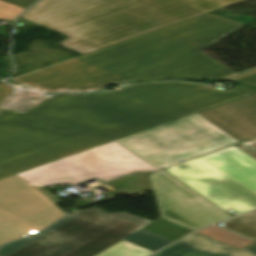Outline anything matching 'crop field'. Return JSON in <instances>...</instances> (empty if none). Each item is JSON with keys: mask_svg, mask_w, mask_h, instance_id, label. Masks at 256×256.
Instances as JSON below:
<instances>
[{"mask_svg": "<svg viewBox=\"0 0 256 256\" xmlns=\"http://www.w3.org/2000/svg\"><path fill=\"white\" fill-rule=\"evenodd\" d=\"M205 84H132L114 92L58 94L21 113L0 110V179L255 92Z\"/></svg>", "mask_w": 256, "mask_h": 256, "instance_id": "obj_1", "label": "crop field"}, {"mask_svg": "<svg viewBox=\"0 0 256 256\" xmlns=\"http://www.w3.org/2000/svg\"><path fill=\"white\" fill-rule=\"evenodd\" d=\"M242 0H40L21 17L87 54Z\"/></svg>", "mask_w": 256, "mask_h": 256, "instance_id": "obj_2", "label": "crop field"}, {"mask_svg": "<svg viewBox=\"0 0 256 256\" xmlns=\"http://www.w3.org/2000/svg\"><path fill=\"white\" fill-rule=\"evenodd\" d=\"M245 25L206 13L77 58L120 75L117 82L223 79L236 73L186 42L206 34L222 39Z\"/></svg>", "mask_w": 256, "mask_h": 256, "instance_id": "obj_3", "label": "crop field"}, {"mask_svg": "<svg viewBox=\"0 0 256 256\" xmlns=\"http://www.w3.org/2000/svg\"><path fill=\"white\" fill-rule=\"evenodd\" d=\"M256 136V93L116 140L159 169Z\"/></svg>", "mask_w": 256, "mask_h": 256, "instance_id": "obj_4", "label": "crop field"}, {"mask_svg": "<svg viewBox=\"0 0 256 256\" xmlns=\"http://www.w3.org/2000/svg\"><path fill=\"white\" fill-rule=\"evenodd\" d=\"M152 221L97 207L68 215L50 228L0 248L1 256H93L124 239L153 252L173 242L142 226Z\"/></svg>", "mask_w": 256, "mask_h": 256, "instance_id": "obj_5", "label": "crop field"}, {"mask_svg": "<svg viewBox=\"0 0 256 256\" xmlns=\"http://www.w3.org/2000/svg\"><path fill=\"white\" fill-rule=\"evenodd\" d=\"M164 170L235 216L256 209V159L234 145Z\"/></svg>", "mask_w": 256, "mask_h": 256, "instance_id": "obj_6", "label": "crop field"}, {"mask_svg": "<svg viewBox=\"0 0 256 256\" xmlns=\"http://www.w3.org/2000/svg\"><path fill=\"white\" fill-rule=\"evenodd\" d=\"M131 170H156L115 141L18 173L31 185L74 184L97 177L108 180Z\"/></svg>", "mask_w": 256, "mask_h": 256, "instance_id": "obj_7", "label": "crop field"}, {"mask_svg": "<svg viewBox=\"0 0 256 256\" xmlns=\"http://www.w3.org/2000/svg\"><path fill=\"white\" fill-rule=\"evenodd\" d=\"M62 202L40 183L31 186L17 174L0 180V245L35 233L65 213Z\"/></svg>", "mask_w": 256, "mask_h": 256, "instance_id": "obj_8", "label": "crop field"}, {"mask_svg": "<svg viewBox=\"0 0 256 256\" xmlns=\"http://www.w3.org/2000/svg\"><path fill=\"white\" fill-rule=\"evenodd\" d=\"M149 176L164 219L195 230L232 217L163 170Z\"/></svg>", "mask_w": 256, "mask_h": 256, "instance_id": "obj_9", "label": "crop field"}, {"mask_svg": "<svg viewBox=\"0 0 256 256\" xmlns=\"http://www.w3.org/2000/svg\"><path fill=\"white\" fill-rule=\"evenodd\" d=\"M117 77L112 72L74 58L11 80L46 92L92 91L116 82Z\"/></svg>", "mask_w": 256, "mask_h": 256, "instance_id": "obj_10", "label": "crop field"}, {"mask_svg": "<svg viewBox=\"0 0 256 256\" xmlns=\"http://www.w3.org/2000/svg\"><path fill=\"white\" fill-rule=\"evenodd\" d=\"M153 256H256V243L236 249L195 232Z\"/></svg>", "mask_w": 256, "mask_h": 256, "instance_id": "obj_11", "label": "crop field"}, {"mask_svg": "<svg viewBox=\"0 0 256 256\" xmlns=\"http://www.w3.org/2000/svg\"><path fill=\"white\" fill-rule=\"evenodd\" d=\"M151 232L160 234L170 240H177L184 235L188 234L192 230L182 227L180 225L174 224L162 218L154 221L153 223L143 227Z\"/></svg>", "mask_w": 256, "mask_h": 256, "instance_id": "obj_12", "label": "crop field"}, {"mask_svg": "<svg viewBox=\"0 0 256 256\" xmlns=\"http://www.w3.org/2000/svg\"><path fill=\"white\" fill-rule=\"evenodd\" d=\"M223 223L225 228L256 240V212Z\"/></svg>", "mask_w": 256, "mask_h": 256, "instance_id": "obj_13", "label": "crop field"}, {"mask_svg": "<svg viewBox=\"0 0 256 256\" xmlns=\"http://www.w3.org/2000/svg\"><path fill=\"white\" fill-rule=\"evenodd\" d=\"M45 98L42 95L21 90L6 100L3 107L24 112Z\"/></svg>", "mask_w": 256, "mask_h": 256, "instance_id": "obj_14", "label": "crop field"}, {"mask_svg": "<svg viewBox=\"0 0 256 256\" xmlns=\"http://www.w3.org/2000/svg\"><path fill=\"white\" fill-rule=\"evenodd\" d=\"M152 253L140 246L122 240L95 256H148Z\"/></svg>", "mask_w": 256, "mask_h": 256, "instance_id": "obj_15", "label": "crop field"}, {"mask_svg": "<svg viewBox=\"0 0 256 256\" xmlns=\"http://www.w3.org/2000/svg\"><path fill=\"white\" fill-rule=\"evenodd\" d=\"M198 232H200L202 234H205L207 236H210L212 238H215L217 240H220L222 242H225V243H227L229 245H232L234 247H237V248L255 242V241L244 239L240 236H237L233 233H230L226 230H223V229L215 227V226L207 227V228L202 229Z\"/></svg>", "mask_w": 256, "mask_h": 256, "instance_id": "obj_16", "label": "crop field"}, {"mask_svg": "<svg viewBox=\"0 0 256 256\" xmlns=\"http://www.w3.org/2000/svg\"><path fill=\"white\" fill-rule=\"evenodd\" d=\"M226 80L246 83L256 87V69L228 78Z\"/></svg>", "mask_w": 256, "mask_h": 256, "instance_id": "obj_17", "label": "crop field"}, {"mask_svg": "<svg viewBox=\"0 0 256 256\" xmlns=\"http://www.w3.org/2000/svg\"><path fill=\"white\" fill-rule=\"evenodd\" d=\"M220 39L214 38L212 36L206 35L204 37L198 38L196 40L190 41L188 42L189 44L193 45L194 47L198 48V49H203L217 41H219Z\"/></svg>", "mask_w": 256, "mask_h": 256, "instance_id": "obj_18", "label": "crop field"}, {"mask_svg": "<svg viewBox=\"0 0 256 256\" xmlns=\"http://www.w3.org/2000/svg\"><path fill=\"white\" fill-rule=\"evenodd\" d=\"M235 145L256 158V137Z\"/></svg>", "mask_w": 256, "mask_h": 256, "instance_id": "obj_19", "label": "crop field"}, {"mask_svg": "<svg viewBox=\"0 0 256 256\" xmlns=\"http://www.w3.org/2000/svg\"><path fill=\"white\" fill-rule=\"evenodd\" d=\"M4 1L26 9L28 6H30L32 3H34L36 0H4Z\"/></svg>", "mask_w": 256, "mask_h": 256, "instance_id": "obj_20", "label": "crop field"}, {"mask_svg": "<svg viewBox=\"0 0 256 256\" xmlns=\"http://www.w3.org/2000/svg\"><path fill=\"white\" fill-rule=\"evenodd\" d=\"M11 92L12 90L9 86L4 83L0 84V104L5 97L10 95Z\"/></svg>", "mask_w": 256, "mask_h": 256, "instance_id": "obj_21", "label": "crop field"}]
</instances>
